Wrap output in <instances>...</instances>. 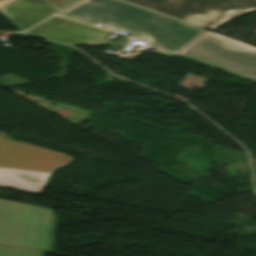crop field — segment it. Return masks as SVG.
I'll list each match as a JSON object with an SVG mask.
<instances>
[{"mask_svg":"<svg viewBox=\"0 0 256 256\" xmlns=\"http://www.w3.org/2000/svg\"><path fill=\"white\" fill-rule=\"evenodd\" d=\"M59 15L107 30L146 39L158 49L178 53L205 30L117 0H83Z\"/></svg>","mask_w":256,"mask_h":256,"instance_id":"crop-field-1","label":"crop field"},{"mask_svg":"<svg viewBox=\"0 0 256 256\" xmlns=\"http://www.w3.org/2000/svg\"><path fill=\"white\" fill-rule=\"evenodd\" d=\"M56 216L51 209L0 199V245L53 251Z\"/></svg>","mask_w":256,"mask_h":256,"instance_id":"crop-field-2","label":"crop field"},{"mask_svg":"<svg viewBox=\"0 0 256 256\" xmlns=\"http://www.w3.org/2000/svg\"><path fill=\"white\" fill-rule=\"evenodd\" d=\"M178 55L256 81V48L206 31Z\"/></svg>","mask_w":256,"mask_h":256,"instance_id":"crop-field-3","label":"crop field"},{"mask_svg":"<svg viewBox=\"0 0 256 256\" xmlns=\"http://www.w3.org/2000/svg\"><path fill=\"white\" fill-rule=\"evenodd\" d=\"M169 16L210 28L229 9L256 8V0H128Z\"/></svg>","mask_w":256,"mask_h":256,"instance_id":"crop-field-4","label":"crop field"},{"mask_svg":"<svg viewBox=\"0 0 256 256\" xmlns=\"http://www.w3.org/2000/svg\"><path fill=\"white\" fill-rule=\"evenodd\" d=\"M72 160L67 154L0 137V167L53 172Z\"/></svg>","mask_w":256,"mask_h":256,"instance_id":"crop-field-5","label":"crop field"},{"mask_svg":"<svg viewBox=\"0 0 256 256\" xmlns=\"http://www.w3.org/2000/svg\"><path fill=\"white\" fill-rule=\"evenodd\" d=\"M27 33L70 45H96L109 42L102 39L109 33L108 31L59 17H53Z\"/></svg>","mask_w":256,"mask_h":256,"instance_id":"crop-field-6","label":"crop field"},{"mask_svg":"<svg viewBox=\"0 0 256 256\" xmlns=\"http://www.w3.org/2000/svg\"><path fill=\"white\" fill-rule=\"evenodd\" d=\"M0 13L21 30L56 13L42 0H16L0 9Z\"/></svg>","mask_w":256,"mask_h":256,"instance_id":"crop-field-7","label":"crop field"},{"mask_svg":"<svg viewBox=\"0 0 256 256\" xmlns=\"http://www.w3.org/2000/svg\"><path fill=\"white\" fill-rule=\"evenodd\" d=\"M51 173L0 168V187L40 194Z\"/></svg>","mask_w":256,"mask_h":256,"instance_id":"crop-field-8","label":"crop field"},{"mask_svg":"<svg viewBox=\"0 0 256 256\" xmlns=\"http://www.w3.org/2000/svg\"><path fill=\"white\" fill-rule=\"evenodd\" d=\"M0 256H43V253L0 248Z\"/></svg>","mask_w":256,"mask_h":256,"instance_id":"crop-field-9","label":"crop field"},{"mask_svg":"<svg viewBox=\"0 0 256 256\" xmlns=\"http://www.w3.org/2000/svg\"><path fill=\"white\" fill-rule=\"evenodd\" d=\"M254 9H238V10H229L228 12H226L225 14L228 15L227 18H225L224 20H222L221 22H219L218 24H216L215 26H213L212 28H215L223 23H226L234 18H237L245 13H248L250 11H252Z\"/></svg>","mask_w":256,"mask_h":256,"instance_id":"crop-field-10","label":"crop field"},{"mask_svg":"<svg viewBox=\"0 0 256 256\" xmlns=\"http://www.w3.org/2000/svg\"><path fill=\"white\" fill-rule=\"evenodd\" d=\"M56 10L60 11L78 0H44Z\"/></svg>","mask_w":256,"mask_h":256,"instance_id":"crop-field-11","label":"crop field"},{"mask_svg":"<svg viewBox=\"0 0 256 256\" xmlns=\"http://www.w3.org/2000/svg\"><path fill=\"white\" fill-rule=\"evenodd\" d=\"M14 0H0V8L13 2Z\"/></svg>","mask_w":256,"mask_h":256,"instance_id":"crop-field-12","label":"crop field"},{"mask_svg":"<svg viewBox=\"0 0 256 256\" xmlns=\"http://www.w3.org/2000/svg\"><path fill=\"white\" fill-rule=\"evenodd\" d=\"M157 53H160V54H163V55H166V56H173V55H175V54L164 52V51H161V50H159Z\"/></svg>","mask_w":256,"mask_h":256,"instance_id":"crop-field-13","label":"crop field"}]
</instances>
